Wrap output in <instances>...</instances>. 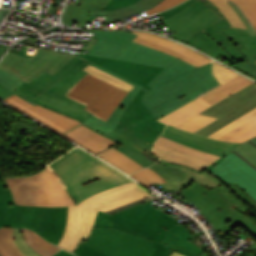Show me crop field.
Instances as JSON below:
<instances>
[{"label":"crop field","mask_w":256,"mask_h":256,"mask_svg":"<svg viewBox=\"0 0 256 256\" xmlns=\"http://www.w3.org/2000/svg\"><path fill=\"white\" fill-rule=\"evenodd\" d=\"M126 31L95 30L99 39L87 54L165 67L141 95L143 108L156 119L204 94L219 83L211 74V62L195 68L173 56L132 41Z\"/></svg>","instance_id":"crop-field-1"},{"label":"crop field","mask_w":256,"mask_h":256,"mask_svg":"<svg viewBox=\"0 0 256 256\" xmlns=\"http://www.w3.org/2000/svg\"><path fill=\"white\" fill-rule=\"evenodd\" d=\"M178 192L199 206L216 229L224 234L240 223L256 236V223L246 216L248 213L256 216V202L237 185L231 183L209 190L194 182Z\"/></svg>","instance_id":"crop-field-2"},{"label":"crop field","mask_w":256,"mask_h":256,"mask_svg":"<svg viewBox=\"0 0 256 256\" xmlns=\"http://www.w3.org/2000/svg\"><path fill=\"white\" fill-rule=\"evenodd\" d=\"M49 168L66 188L76 204L97 192L131 182L116 170L76 148L58 159ZM97 178L101 180L88 185H81Z\"/></svg>","instance_id":"crop-field-3"},{"label":"crop field","mask_w":256,"mask_h":256,"mask_svg":"<svg viewBox=\"0 0 256 256\" xmlns=\"http://www.w3.org/2000/svg\"><path fill=\"white\" fill-rule=\"evenodd\" d=\"M147 196L151 194L131 182L100 192L78 205L68 207L66 231L58 246L72 252L82 240L87 241L97 210L106 212Z\"/></svg>","instance_id":"crop-field-4"},{"label":"crop field","mask_w":256,"mask_h":256,"mask_svg":"<svg viewBox=\"0 0 256 256\" xmlns=\"http://www.w3.org/2000/svg\"><path fill=\"white\" fill-rule=\"evenodd\" d=\"M67 207H29L16 205L5 178H0V228L25 227L57 245L63 236Z\"/></svg>","instance_id":"crop-field-5"},{"label":"crop field","mask_w":256,"mask_h":256,"mask_svg":"<svg viewBox=\"0 0 256 256\" xmlns=\"http://www.w3.org/2000/svg\"><path fill=\"white\" fill-rule=\"evenodd\" d=\"M150 202L152 200L113 215L98 211L93 227H114L161 242L168 230L178 222L150 205Z\"/></svg>","instance_id":"crop-field-6"},{"label":"crop field","mask_w":256,"mask_h":256,"mask_svg":"<svg viewBox=\"0 0 256 256\" xmlns=\"http://www.w3.org/2000/svg\"><path fill=\"white\" fill-rule=\"evenodd\" d=\"M173 234L167 245L114 229L93 228L87 242L81 244L111 256H169L173 250L187 256H197L175 245Z\"/></svg>","instance_id":"crop-field-7"},{"label":"crop field","mask_w":256,"mask_h":256,"mask_svg":"<svg viewBox=\"0 0 256 256\" xmlns=\"http://www.w3.org/2000/svg\"><path fill=\"white\" fill-rule=\"evenodd\" d=\"M6 179L16 204L29 206L75 205L48 167L32 177Z\"/></svg>","instance_id":"crop-field-8"},{"label":"crop field","mask_w":256,"mask_h":256,"mask_svg":"<svg viewBox=\"0 0 256 256\" xmlns=\"http://www.w3.org/2000/svg\"><path fill=\"white\" fill-rule=\"evenodd\" d=\"M88 64L89 61L80 58L67 70H65L61 75L57 77L60 79L59 81H57L47 90L42 92L36 98L33 99L27 95L22 99L28 101L33 105H42L45 108L52 109L65 116H69L78 121L83 122L90 114L89 112L84 110L86 108V105L74 101L70 98H67L62 94L66 92L71 86H73L81 77H83L86 74L81 70Z\"/></svg>","instance_id":"crop-field-9"},{"label":"crop field","mask_w":256,"mask_h":256,"mask_svg":"<svg viewBox=\"0 0 256 256\" xmlns=\"http://www.w3.org/2000/svg\"><path fill=\"white\" fill-rule=\"evenodd\" d=\"M28 47L24 46L19 53L9 52L1 61L0 69L29 83L44 72L56 74L73 55L37 49L33 56L25 54ZM52 75V76H53Z\"/></svg>","instance_id":"crop-field-10"},{"label":"crop field","mask_w":256,"mask_h":256,"mask_svg":"<svg viewBox=\"0 0 256 256\" xmlns=\"http://www.w3.org/2000/svg\"><path fill=\"white\" fill-rule=\"evenodd\" d=\"M86 73L69 91L92 101L87 110L100 120L105 121L127 91L88 72Z\"/></svg>","instance_id":"crop-field-11"},{"label":"crop field","mask_w":256,"mask_h":256,"mask_svg":"<svg viewBox=\"0 0 256 256\" xmlns=\"http://www.w3.org/2000/svg\"><path fill=\"white\" fill-rule=\"evenodd\" d=\"M256 107V83L226 97L200 114L219 119L196 132L207 136Z\"/></svg>","instance_id":"crop-field-12"},{"label":"crop field","mask_w":256,"mask_h":256,"mask_svg":"<svg viewBox=\"0 0 256 256\" xmlns=\"http://www.w3.org/2000/svg\"><path fill=\"white\" fill-rule=\"evenodd\" d=\"M220 19L222 18L195 0L183 11L168 20L162 21V23L170 31L173 29L178 31L170 37L184 42Z\"/></svg>","instance_id":"crop-field-13"},{"label":"crop field","mask_w":256,"mask_h":256,"mask_svg":"<svg viewBox=\"0 0 256 256\" xmlns=\"http://www.w3.org/2000/svg\"><path fill=\"white\" fill-rule=\"evenodd\" d=\"M153 152L165 160L187 165L200 171L211 169L223 158L195 150L162 136L155 143Z\"/></svg>","instance_id":"crop-field-14"},{"label":"crop field","mask_w":256,"mask_h":256,"mask_svg":"<svg viewBox=\"0 0 256 256\" xmlns=\"http://www.w3.org/2000/svg\"><path fill=\"white\" fill-rule=\"evenodd\" d=\"M148 168L162 176L168 183L159 185L171 191L184 189L190 186V184L194 181L206 186L209 189L219 185H224L223 182L208 171L200 172L187 166L170 163L163 159L159 160L157 163Z\"/></svg>","instance_id":"crop-field-15"},{"label":"crop field","mask_w":256,"mask_h":256,"mask_svg":"<svg viewBox=\"0 0 256 256\" xmlns=\"http://www.w3.org/2000/svg\"><path fill=\"white\" fill-rule=\"evenodd\" d=\"M209 171L226 185L237 184L256 201V170L234 153L231 152Z\"/></svg>","instance_id":"crop-field-16"},{"label":"crop field","mask_w":256,"mask_h":256,"mask_svg":"<svg viewBox=\"0 0 256 256\" xmlns=\"http://www.w3.org/2000/svg\"><path fill=\"white\" fill-rule=\"evenodd\" d=\"M144 92L139 91L119 122L133 135L153 144L163 131L165 124L156 121L140 105L138 98Z\"/></svg>","instance_id":"crop-field-17"},{"label":"crop field","mask_w":256,"mask_h":256,"mask_svg":"<svg viewBox=\"0 0 256 256\" xmlns=\"http://www.w3.org/2000/svg\"><path fill=\"white\" fill-rule=\"evenodd\" d=\"M198 1L203 3L205 6H207L223 18L222 20L216 22L215 24L209 26L202 31L208 34L214 40H216L232 56V58L237 62L236 64L231 65L232 67L256 79L255 70L248 64L241 51L224 33L221 32L222 30L232 27L231 24L224 17V15L217 10V7L209 0Z\"/></svg>","instance_id":"crop-field-18"},{"label":"crop field","mask_w":256,"mask_h":256,"mask_svg":"<svg viewBox=\"0 0 256 256\" xmlns=\"http://www.w3.org/2000/svg\"><path fill=\"white\" fill-rule=\"evenodd\" d=\"M130 32L138 34L134 41L178 57L196 67L212 61L200 53L166 38L143 31Z\"/></svg>","instance_id":"crop-field-19"},{"label":"crop field","mask_w":256,"mask_h":256,"mask_svg":"<svg viewBox=\"0 0 256 256\" xmlns=\"http://www.w3.org/2000/svg\"><path fill=\"white\" fill-rule=\"evenodd\" d=\"M77 56L96 62L148 89L150 87L146 85L163 69L161 67L130 63L90 55H82L78 53Z\"/></svg>","instance_id":"crop-field-20"},{"label":"crop field","mask_w":256,"mask_h":256,"mask_svg":"<svg viewBox=\"0 0 256 256\" xmlns=\"http://www.w3.org/2000/svg\"><path fill=\"white\" fill-rule=\"evenodd\" d=\"M4 101L62 134L81 123L42 106H33L15 94Z\"/></svg>","instance_id":"crop-field-21"},{"label":"crop field","mask_w":256,"mask_h":256,"mask_svg":"<svg viewBox=\"0 0 256 256\" xmlns=\"http://www.w3.org/2000/svg\"><path fill=\"white\" fill-rule=\"evenodd\" d=\"M162 136L186 144L193 148L223 157L228 155L234 148L239 145L238 143L214 140L169 126H167L165 131L162 133Z\"/></svg>","instance_id":"crop-field-22"},{"label":"crop field","mask_w":256,"mask_h":256,"mask_svg":"<svg viewBox=\"0 0 256 256\" xmlns=\"http://www.w3.org/2000/svg\"><path fill=\"white\" fill-rule=\"evenodd\" d=\"M213 74L220 81L222 86L200 96L210 104H215L224 97L240 90L241 88L253 83L247 78L236 72L216 63H213Z\"/></svg>","instance_id":"crop-field-23"},{"label":"crop field","mask_w":256,"mask_h":256,"mask_svg":"<svg viewBox=\"0 0 256 256\" xmlns=\"http://www.w3.org/2000/svg\"><path fill=\"white\" fill-rule=\"evenodd\" d=\"M93 131H95L107 138H110L114 141L124 144L125 146H123L117 150L124 153L131 159L135 160L142 166L146 167L153 163V162L149 161L147 159V157L141 153V151L143 149L151 151L152 145H150V144L140 140L139 138L133 136L132 134H130L120 123H118L116 129L114 131H112L111 133H109L108 135L98 132L96 130H93Z\"/></svg>","instance_id":"crop-field-24"},{"label":"crop field","mask_w":256,"mask_h":256,"mask_svg":"<svg viewBox=\"0 0 256 256\" xmlns=\"http://www.w3.org/2000/svg\"><path fill=\"white\" fill-rule=\"evenodd\" d=\"M90 65H93L119 79H122L132 85H134L135 87L130 91L128 92V94L125 96V98L122 100V102L119 104V106L115 109V111L110 115V117L104 122L100 121L99 119H97L96 117H94L92 114L89 116V118L84 122V124H86L87 126L93 128V129H96V130H99L101 132H104V133H109L111 132L112 130H114L117 122L119 121L120 117L122 116L124 110L126 109V107L129 105V103L131 102V100L133 99V97L138 93V91L140 89H143V90H148L122 76H119L95 63H90Z\"/></svg>","instance_id":"crop-field-25"},{"label":"crop field","mask_w":256,"mask_h":256,"mask_svg":"<svg viewBox=\"0 0 256 256\" xmlns=\"http://www.w3.org/2000/svg\"><path fill=\"white\" fill-rule=\"evenodd\" d=\"M79 57H74L70 60L55 76H52L49 73H44L31 83H22L15 91L11 92L0 85V98L6 99L7 97L11 96L12 94H17L19 97H24L25 95H30L31 97L37 96L39 93L47 89L53 83H55L58 79L56 78L59 74H61L65 69H67L71 64H73Z\"/></svg>","instance_id":"crop-field-26"},{"label":"crop field","mask_w":256,"mask_h":256,"mask_svg":"<svg viewBox=\"0 0 256 256\" xmlns=\"http://www.w3.org/2000/svg\"><path fill=\"white\" fill-rule=\"evenodd\" d=\"M80 6L68 4L62 22L65 25L78 23L77 27H85L89 11L102 10L110 0H80Z\"/></svg>","instance_id":"crop-field-27"},{"label":"crop field","mask_w":256,"mask_h":256,"mask_svg":"<svg viewBox=\"0 0 256 256\" xmlns=\"http://www.w3.org/2000/svg\"><path fill=\"white\" fill-rule=\"evenodd\" d=\"M64 135L95 154L114 143V141L87 129L82 124Z\"/></svg>","instance_id":"crop-field-28"},{"label":"crop field","mask_w":256,"mask_h":256,"mask_svg":"<svg viewBox=\"0 0 256 256\" xmlns=\"http://www.w3.org/2000/svg\"><path fill=\"white\" fill-rule=\"evenodd\" d=\"M242 51L250 65L256 70L252 55L256 54V35L250 36L248 30L232 27L223 31Z\"/></svg>","instance_id":"crop-field-29"},{"label":"crop field","mask_w":256,"mask_h":256,"mask_svg":"<svg viewBox=\"0 0 256 256\" xmlns=\"http://www.w3.org/2000/svg\"><path fill=\"white\" fill-rule=\"evenodd\" d=\"M185 43L190 44L205 51L207 55L217 59L220 56L229 61L230 63H235V61L230 57V55L212 38L207 36L202 31L197 35L191 37Z\"/></svg>","instance_id":"crop-field-30"},{"label":"crop field","mask_w":256,"mask_h":256,"mask_svg":"<svg viewBox=\"0 0 256 256\" xmlns=\"http://www.w3.org/2000/svg\"><path fill=\"white\" fill-rule=\"evenodd\" d=\"M161 1L162 0H140L130 6L115 11H95L90 12L89 15L105 16L107 17L106 22H112L115 19L126 17L150 9Z\"/></svg>","instance_id":"crop-field-31"},{"label":"crop field","mask_w":256,"mask_h":256,"mask_svg":"<svg viewBox=\"0 0 256 256\" xmlns=\"http://www.w3.org/2000/svg\"><path fill=\"white\" fill-rule=\"evenodd\" d=\"M210 106L211 105L199 97L185 106L177 109L176 111L168 114L160 121L174 126Z\"/></svg>","instance_id":"crop-field-32"},{"label":"crop field","mask_w":256,"mask_h":256,"mask_svg":"<svg viewBox=\"0 0 256 256\" xmlns=\"http://www.w3.org/2000/svg\"><path fill=\"white\" fill-rule=\"evenodd\" d=\"M99 156L106 159L107 161L128 174L143 168L141 165L134 162L133 160L113 148H109L108 150L99 154Z\"/></svg>","instance_id":"crop-field-33"},{"label":"crop field","mask_w":256,"mask_h":256,"mask_svg":"<svg viewBox=\"0 0 256 256\" xmlns=\"http://www.w3.org/2000/svg\"><path fill=\"white\" fill-rule=\"evenodd\" d=\"M22 234L27 244L41 256H53V254L59 250L58 247L50 244L42 237L38 236L31 230L21 228Z\"/></svg>","instance_id":"crop-field-34"},{"label":"crop field","mask_w":256,"mask_h":256,"mask_svg":"<svg viewBox=\"0 0 256 256\" xmlns=\"http://www.w3.org/2000/svg\"><path fill=\"white\" fill-rule=\"evenodd\" d=\"M173 233L178 235L173 244L197 255H199V253L202 251L201 248L187 241L193 238V235L181 224H178L174 226L172 229H170L169 232L164 237V239L162 240V242L167 244Z\"/></svg>","instance_id":"crop-field-35"},{"label":"crop field","mask_w":256,"mask_h":256,"mask_svg":"<svg viewBox=\"0 0 256 256\" xmlns=\"http://www.w3.org/2000/svg\"><path fill=\"white\" fill-rule=\"evenodd\" d=\"M256 135V116L225 134L220 140L242 143Z\"/></svg>","instance_id":"crop-field-36"},{"label":"crop field","mask_w":256,"mask_h":256,"mask_svg":"<svg viewBox=\"0 0 256 256\" xmlns=\"http://www.w3.org/2000/svg\"><path fill=\"white\" fill-rule=\"evenodd\" d=\"M0 254L1 256H24L12 240V229H0Z\"/></svg>","instance_id":"crop-field-37"},{"label":"crop field","mask_w":256,"mask_h":256,"mask_svg":"<svg viewBox=\"0 0 256 256\" xmlns=\"http://www.w3.org/2000/svg\"><path fill=\"white\" fill-rule=\"evenodd\" d=\"M216 119L218 118L197 114L174 127L194 133Z\"/></svg>","instance_id":"crop-field-38"},{"label":"crop field","mask_w":256,"mask_h":256,"mask_svg":"<svg viewBox=\"0 0 256 256\" xmlns=\"http://www.w3.org/2000/svg\"><path fill=\"white\" fill-rule=\"evenodd\" d=\"M210 1L218 7V10L225 15V17L229 20L232 26L246 29V27L244 26V24L236 14V12L230 6L229 0H210Z\"/></svg>","instance_id":"crop-field-39"},{"label":"crop field","mask_w":256,"mask_h":256,"mask_svg":"<svg viewBox=\"0 0 256 256\" xmlns=\"http://www.w3.org/2000/svg\"><path fill=\"white\" fill-rule=\"evenodd\" d=\"M232 152L256 169V146L252 142L248 140Z\"/></svg>","instance_id":"crop-field-40"},{"label":"crop field","mask_w":256,"mask_h":256,"mask_svg":"<svg viewBox=\"0 0 256 256\" xmlns=\"http://www.w3.org/2000/svg\"><path fill=\"white\" fill-rule=\"evenodd\" d=\"M133 178L138 180L139 182L145 184L146 186H151L153 183H163L166 182L162 177L151 171L150 169L146 168L142 171L134 173L132 175Z\"/></svg>","instance_id":"crop-field-41"},{"label":"crop field","mask_w":256,"mask_h":256,"mask_svg":"<svg viewBox=\"0 0 256 256\" xmlns=\"http://www.w3.org/2000/svg\"><path fill=\"white\" fill-rule=\"evenodd\" d=\"M255 115H256V108L248 112L247 114L243 115L242 117L238 118L237 120L231 122L230 124L226 125L225 127L214 132L213 134L209 135L208 137L217 139Z\"/></svg>","instance_id":"crop-field-42"},{"label":"crop field","mask_w":256,"mask_h":256,"mask_svg":"<svg viewBox=\"0 0 256 256\" xmlns=\"http://www.w3.org/2000/svg\"><path fill=\"white\" fill-rule=\"evenodd\" d=\"M238 4L251 24L256 23V0H231Z\"/></svg>","instance_id":"crop-field-43"},{"label":"crop field","mask_w":256,"mask_h":256,"mask_svg":"<svg viewBox=\"0 0 256 256\" xmlns=\"http://www.w3.org/2000/svg\"><path fill=\"white\" fill-rule=\"evenodd\" d=\"M84 70H86V71H88V72H90V73H92V74H94V75H96L100 78H103V79H105V80H107V81H109V82H111L115 85H118V86H120V87H122V88H124L128 91H130L133 88V86H131V85H129V84H127V83H125V82L107 74V73H104V72H102V71H100V70H98V69H96V68H94L90 65H88L86 68H84Z\"/></svg>","instance_id":"crop-field-44"},{"label":"crop field","mask_w":256,"mask_h":256,"mask_svg":"<svg viewBox=\"0 0 256 256\" xmlns=\"http://www.w3.org/2000/svg\"><path fill=\"white\" fill-rule=\"evenodd\" d=\"M13 240L18 245L19 249L24 253L25 256H39L37 255L24 241L20 229L14 228Z\"/></svg>","instance_id":"crop-field-45"},{"label":"crop field","mask_w":256,"mask_h":256,"mask_svg":"<svg viewBox=\"0 0 256 256\" xmlns=\"http://www.w3.org/2000/svg\"><path fill=\"white\" fill-rule=\"evenodd\" d=\"M23 81L3 72L0 70V84L7 89L13 91L17 88Z\"/></svg>","instance_id":"crop-field-46"},{"label":"crop field","mask_w":256,"mask_h":256,"mask_svg":"<svg viewBox=\"0 0 256 256\" xmlns=\"http://www.w3.org/2000/svg\"><path fill=\"white\" fill-rule=\"evenodd\" d=\"M183 1H185V0H164L161 3H159L158 5H156L154 8L147 10V13H148V15H150L155 12L163 11V10L171 8Z\"/></svg>","instance_id":"crop-field-47"},{"label":"crop field","mask_w":256,"mask_h":256,"mask_svg":"<svg viewBox=\"0 0 256 256\" xmlns=\"http://www.w3.org/2000/svg\"><path fill=\"white\" fill-rule=\"evenodd\" d=\"M194 0H187L165 12L159 13L160 16L162 17L163 20L175 15L176 13H178L179 11L183 10L185 7H187L191 2H193Z\"/></svg>","instance_id":"crop-field-48"},{"label":"crop field","mask_w":256,"mask_h":256,"mask_svg":"<svg viewBox=\"0 0 256 256\" xmlns=\"http://www.w3.org/2000/svg\"><path fill=\"white\" fill-rule=\"evenodd\" d=\"M73 253L79 256H108L106 254L85 247L81 244H79V246L73 251Z\"/></svg>","instance_id":"crop-field-49"},{"label":"crop field","mask_w":256,"mask_h":256,"mask_svg":"<svg viewBox=\"0 0 256 256\" xmlns=\"http://www.w3.org/2000/svg\"><path fill=\"white\" fill-rule=\"evenodd\" d=\"M137 0H111L103 10H115L134 3Z\"/></svg>","instance_id":"crop-field-50"},{"label":"crop field","mask_w":256,"mask_h":256,"mask_svg":"<svg viewBox=\"0 0 256 256\" xmlns=\"http://www.w3.org/2000/svg\"><path fill=\"white\" fill-rule=\"evenodd\" d=\"M150 199H153V200H154V199H156V198L153 197V196L147 197V198H144V199H142V200L136 201V202H134V203L128 204V205H126V206L117 208V209H115V210H112V211H109V212H106V213L113 214V213H115V212H118V211L124 210V209H126V208H129V207H132V206L141 204V203H143V202H146V201H148V200H150Z\"/></svg>","instance_id":"crop-field-51"},{"label":"crop field","mask_w":256,"mask_h":256,"mask_svg":"<svg viewBox=\"0 0 256 256\" xmlns=\"http://www.w3.org/2000/svg\"><path fill=\"white\" fill-rule=\"evenodd\" d=\"M64 95H66V96H68V97H70V98H72V99H74V100H77V101H79V102H82V103H84V104H86V105H89L90 104V101H88V100H86V99H83V98H81V97H79V96H76V95H74V94H72V93H70V92H66Z\"/></svg>","instance_id":"crop-field-52"},{"label":"crop field","mask_w":256,"mask_h":256,"mask_svg":"<svg viewBox=\"0 0 256 256\" xmlns=\"http://www.w3.org/2000/svg\"><path fill=\"white\" fill-rule=\"evenodd\" d=\"M54 256H75V255H72L64 250H60L58 253H56Z\"/></svg>","instance_id":"crop-field-53"},{"label":"crop field","mask_w":256,"mask_h":256,"mask_svg":"<svg viewBox=\"0 0 256 256\" xmlns=\"http://www.w3.org/2000/svg\"><path fill=\"white\" fill-rule=\"evenodd\" d=\"M9 10H3L0 9V22L5 18V16L8 14Z\"/></svg>","instance_id":"crop-field-54"},{"label":"crop field","mask_w":256,"mask_h":256,"mask_svg":"<svg viewBox=\"0 0 256 256\" xmlns=\"http://www.w3.org/2000/svg\"><path fill=\"white\" fill-rule=\"evenodd\" d=\"M170 256H183V255H181V254H179V253L174 251Z\"/></svg>","instance_id":"crop-field-55"},{"label":"crop field","mask_w":256,"mask_h":256,"mask_svg":"<svg viewBox=\"0 0 256 256\" xmlns=\"http://www.w3.org/2000/svg\"><path fill=\"white\" fill-rule=\"evenodd\" d=\"M7 49H5V48H0V57H1V55L6 51Z\"/></svg>","instance_id":"crop-field-56"},{"label":"crop field","mask_w":256,"mask_h":256,"mask_svg":"<svg viewBox=\"0 0 256 256\" xmlns=\"http://www.w3.org/2000/svg\"><path fill=\"white\" fill-rule=\"evenodd\" d=\"M250 141H252L256 145V137L250 139Z\"/></svg>","instance_id":"crop-field-57"},{"label":"crop field","mask_w":256,"mask_h":256,"mask_svg":"<svg viewBox=\"0 0 256 256\" xmlns=\"http://www.w3.org/2000/svg\"><path fill=\"white\" fill-rule=\"evenodd\" d=\"M253 27L256 29V24H254Z\"/></svg>","instance_id":"crop-field-58"},{"label":"crop field","mask_w":256,"mask_h":256,"mask_svg":"<svg viewBox=\"0 0 256 256\" xmlns=\"http://www.w3.org/2000/svg\"><path fill=\"white\" fill-rule=\"evenodd\" d=\"M254 57V60H256V55L255 56H253Z\"/></svg>","instance_id":"crop-field-59"},{"label":"crop field","mask_w":256,"mask_h":256,"mask_svg":"<svg viewBox=\"0 0 256 256\" xmlns=\"http://www.w3.org/2000/svg\"><path fill=\"white\" fill-rule=\"evenodd\" d=\"M18 1H20V0H18Z\"/></svg>","instance_id":"crop-field-60"}]
</instances>
